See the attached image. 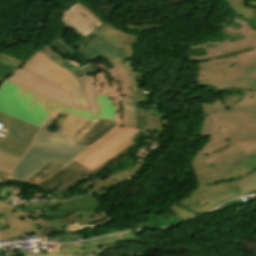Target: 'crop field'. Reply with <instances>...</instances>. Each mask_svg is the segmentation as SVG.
Returning a JSON list of instances; mask_svg holds the SVG:
<instances>
[{
  "label": "crop field",
  "instance_id": "8a807250",
  "mask_svg": "<svg viewBox=\"0 0 256 256\" xmlns=\"http://www.w3.org/2000/svg\"><path fill=\"white\" fill-rule=\"evenodd\" d=\"M198 107L205 115L198 135L210 136L191 161L198 189L170 207L188 220L256 191V119L249 122L231 114L221 101Z\"/></svg>",
  "mask_w": 256,
  "mask_h": 256
},
{
  "label": "crop field",
  "instance_id": "ac0d7876",
  "mask_svg": "<svg viewBox=\"0 0 256 256\" xmlns=\"http://www.w3.org/2000/svg\"><path fill=\"white\" fill-rule=\"evenodd\" d=\"M60 19L64 26L74 29L80 35L76 54H81L92 61L100 57L114 68L102 72L91 63L81 66L74 60H63V57L57 55L49 46L39 51L74 76L89 75L99 94L105 93L114 104L115 121L120 122L122 109L119 101L137 94L122 64L123 61L131 58L137 37L106 24L79 0L61 12Z\"/></svg>",
  "mask_w": 256,
  "mask_h": 256
},
{
  "label": "crop field",
  "instance_id": "34b2d1b8",
  "mask_svg": "<svg viewBox=\"0 0 256 256\" xmlns=\"http://www.w3.org/2000/svg\"><path fill=\"white\" fill-rule=\"evenodd\" d=\"M196 64L200 85L256 98V50Z\"/></svg>",
  "mask_w": 256,
  "mask_h": 256
},
{
  "label": "crop field",
  "instance_id": "412701ff",
  "mask_svg": "<svg viewBox=\"0 0 256 256\" xmlns=\"http://www.w3.org/2000/svg\"><path fill=\"white\" fill-rule=\"evenodd\" d=\"M56 109L93 121L100 116L52 102L7 80L0 89V112L39 128Z\"/></svg>",
  "mask_w": 256,
  "mask_h": 256
},
{
  "label": "crop field",
  "instance_id": "f4fd0767",
  "mask_svg": "<svg viewBox=\"0 0 256 256\" xmlns=\"http://www.w3.org/2000/svg\"><path fill=\"white\" fill-rule=\"evenodd\" d=\"M1 120L6 121L2 129L8 131L3 139L0 138V178L7 180L39 128L0 113Z\"/></svg>",
  "mask_w": 256,
  "mask_h": 256
},
{
  "label": "crop field",
  "instance_id": "dd49c442",
  "mask_svg": "<svg viewBox=\"0 0 256 256\" xmlns=\"http://www.w3.org/2000/svg\"><path fill=\"white\" fill-rule=\"evenodd\" d=\"M77 79L79 80L81 87L86 95L90 110L72 106L71 94L24 68H22L19 72L7 80L21 85L55 102L99 114V108L93 98V96L98 95V93L93 83L88 76H78Z\"/></svg>",
  "mask_w": 256,
  "mask_h": 256
},
{
  "label": "crop field",
  "instance_id": "e52e79f7",
  "mask_svg": "<svg viewBox=\"0 0 256 256\" xmlns=\"http://www.w3.org/2000/svg\"><path fill=\"white\" fill-rule=\"evenodd\" d=\"M138 131L139 129L136 128L117 126L91 147L84 150L74 160L92 171L131 144L133 141L130 139Z\"/></svg>",
  "mask_w": 256,
  "mask_h": 256
},
{
  "label": "crop field",
  "instance_id": "d8731c3e",
  "mask_svg": "<svg viewBox=\"0 0 256 256\" xmlns=\"http://www.w3.org/2000/svg\"><path fill=\"white\" fill-rule=\"evenodd\" d=\"M9 202H0V215L7 214L10 229L0 231V240L14 236H29L31 234L40 237H49L50 233L64 230H45L42 227H52V220L44 221V212L35 210L34 214L18 209Z\"/></svg>",
  "mask_w": 256,
  "mask_h": 256
},
{
  "label": "crop field",
  "instance_id": "5a996713",
  "mask_svg": "<svg viewBox=\"0 0 256 256\" xmlns=\"http://www.w3.org/2000/svg\"><path fill=\"white\" fill-rule=\"evenodd\" d=\"M25 68L70 92L73 105L89 109L77 79L44 54L35 52L27 61Z\"/></svg>",
  "mask_w": 256,
  "mask_h": 256
},
{
  "label": "crop field",
  "instance_id": "3316defc",
  "mask_svg": "<svg viewBox=\"0 0 256 256\" xmlns=\"http://www.w3.org/2000/svg\"><path fill=\"white\" fill-rule=\"evenodd\" d=\"M86 147L36 137L26 156L67 163Z\"/></svg>",
  "mask_w": 256,
  "mask_h": 256
},
{
  "label": "crop field",
  "instance_id": "28ad6ade",
  "mask_svg": "<svg viewBox=\"0 0 256 256\" xmlns=\"http://www.w3.org/2000/svg\"><path fill=\"white\" fill-rule=\"evenodd\" d=\"M243 27V26H242ZM240 32L244 33L245 35L239 37L235 42H224L218 45H215L206 52L209 54L203 56H189V59L198 62L201 60H207L217 57H223L251 49L256 48V29L244 26L239 30Z\"/></svg>",
  "mask_w": 256,
  "mask_h": 256
},
{
  "label": "crop field",
  "instance_id": "d1516ede",
  "mask_svg": "<svg viewBox=\"0 0 256 256\" xmlns=\"http://www.w3.org/2000/svg\"><path fill=\"white\" fill-rule=\"evenodd\" d=\"M60 112L56 111L49 118V120L40 129L37 136L49 138L58 141L73 143L78 138L83 136L87 131H89L96 122H91L85 129H83L75 138L72 136L79 131L88 121L73 117L68 115L65 121L58 127L55 133L45 131L52 121L58 116Z\"/></svg>",
  "mask_w": 256,
  "mask_h": 256
},
{
  "label": "crop field",
  "instance_id": "22f410ed",
  "mask_svg": "<svg viewBox=\"0 0 256 256\" xmlns=\"http://www.w3.org/2000/svg\"><path fill=\"white\" fill-rule=\"evenodd\" d=\"M130 98L137 112L136 127L141 128V130L131 140L136 141L146 128L162 133L163 118L161 114L155 108L142 111L138 104L140 102L148 101V98L145 96V94L142 92Z\"/></svg>",
  "mask_w": 256,
  "mask_h": 256
},
{
  "label": "crop field",
  "instance_id": "cbeb9de0",
  "mask_svg": "<svg viewBox=\"0 0 256 256\" xmlns=\"http://www.w3.org/2000/svg\"><path fill=\"white\" fill-rule=\"evenodd\" d=\"M85 168L80 166L79 164L71 161L67 166L53 174L52 176L48 177L44 182L40 184H33L29 182H25L22 180L17 179H9L10 181H17V182H24L28 184H33L39 187H42L44 189H48L49 191L59 188L62 185L68 183L70 180L78 177L82 173L86 172Z\"/></svg>",
  "mask_w": 256,
  "mask_h": 256
},
{
  "label": "crop field",
  "instance_id": "5142ce71",
  "mask_svg": "<svg viewBox=\"0 0 256 256\" xmlns=\"http://www.w3.org/2000/svg\"><path fill=\"white\" fill-rule=\"evenodd\" d=\"M46 160L25 157L19 162L10 177L27 180L35 171H37Z\"/></svg>",
  "mask_w": 256,
  "mask_h": 256
},
{
  "label": "crop field",
  "instance_id": "d9b57169",
  "mask_svg": "<svg viewBox=\"0 0 256 256\" xmlns=\"http://www.w3.org/2000/svg\"><path fill=\"white\" fill-rule=\"evenodd\" d=\"M116 122L99 120L95 126L75 143L91 145L94 141L109 132Z\"/></svg>",
  "mask_w": 256,
  "mask_h": 256
},
{
  "label": "crop field",
  "instance_id": "733c2abd",
  "mask_svg": "<svg viewBox=\"0 0 256 256\" xmlns=\"http://www.w3.org/2000/svg\"><path fill=\"white\" fill-rule=\"evenodd\" d=\"M44 256H101L100 250L84 251L82 243L59 245L57 253H44Z\"/></svg>",
  "mask_w": 256,
  "mask_h": 256
},
{
  "label": "crop field",
  "instance_id": "4a817a6b",
  "mask_svg": "<svg viewBox=\"0 0 256 256\" xmlns=\"http://www.w3.org/2000/svg\"><path fill=\"white\" fill-rule=\"evenodd\" d=\"M231 109L234 111V114L252 121L256 117V99L244 96L236 105H233Z\"/></svg>",
  "mask_w": 256,
  "mask_h": 256
},
{
  "label": "crop field",
  "instance_id": "bc2a9ffb",
  "mask_svg": "<svg viewBox=\"0 0 256 256\" xmlns=\"http://www.w3.org/2000/svg\"><path fill=\"white\" fill-rule=\"evenodd\" d=\"M136 239H138V237L135 234V232H130V233H126V234L110 236L107 238H101L98 240L87 241V242L83 243V247H84V250L99 249V245H105V244H110V243H119V242L136 240Z\"/></svg>",
  "mask_w": 256,
  "mask_h": 256
},
{
  "label": "crop field",
  "instance_id": "214f88e0",
  "mask_svg": "<svg viewBox=\"0 0 256 256\" xmlns=\"http://www.w3.org/2000/svg\"><path fill=\"white\" fill-rule=\"evenodd\" d=\"M65 166L64 163L48 161L37 172H35L28 180L31 182H41L48 175L56 171L57 169Z\"/></svg>",
  "mask_w": 256,
  "mask_h": 256
},
{
  "label": "crop field",
  "instance_id": "92a150f3",
  "mask_svg": "<svg viewBox=\"0 0 256 256\" xmlns=\"http://www.w3.org/2000/svg\"><path fill=\"white\" fill-rule=\"evenodd\" d=\"M231 9L240 16L250 20L255 14L256 9L245 6L246 0H227Z\"/></svg>",
  "mask_w": 256,
  "mask_h": 256
},
{
  "label": "crop field",
  "instance_id": "dafd665d",
  "mask_svg": "<svg viewBox=\"0 0 256 256\" xmlns=\"http://www.w3.org/2000/svg\"><path fill=\"white\" fill-rule=\"evenodd\" d=\"M95 99L100 108V118L114 120L115 110L113 104L109 101V99L104 94L95 97Z\"/></svg>",
  "mask_w": 256,
  "mask_h": 256
},
{
  "label": "crop field",
  "instance_id": "00972430",
  "mask_svg": "<svg viewBox=\"0 0 256 256\" xmlns=\"http://www.w3.org/2000/svg\"><path fill=\"white\" fill-rule=\"evenodd\" d=\"M124 115L120 124L129 125L135 127L136 123V112L132 105L130 98L122 100ZM119 125V124H118Z\"/></svg>",
  "mask_w": 256,
  "mask_h": 256
},
{
  "label": "crop field",
  "instance_id": "a9b5d70f",
  "mask_svg": "<svg viewBox=\"0 0 256 256\" xmlns=\"http://www.w3.org/2000/svg\"><path fill=\"white\" fill-rule=\"evenodd\" d=\"M118 181L115 179L114 176H110V177H107L106 179L104 180H97V179H94L92 180L91 182L87 183L86 185H84L82 187V189L88 187L89 185H91L92 183L95 185V187L91 190V191H88L87 193H90V192H94L96 190H99V189H102V188H105V187H108L110 185H113L115 183H117Z\"/></svg>",
  "mask_w": 256,
  "mask_h": 256
},
{
  "label": "crop field",
  "instance_id": "4177f3b9",
  "mask_svg": "<svg viewBox=\"0 0 256 256\" xmlns=\"http://www.w3.org/2000/svg\"><path fill=\"white\" fill-rule=\"evenodd\" d=\"M54 206H57V203L46 202V201H36V202H30L28 206L25 208V210L32 213L35 208L43 211H50L51 207H54Z\"/></svg>",
  "mask_w": 256,
  "mask_h": 256
},
{
  "label": "crop field",
  "instance_id": "730fd06b",
  "mask_svg": "<svg viewBox=\"0 0 256 256\" xmlns=\"http://www.w3.org/2000/svg\"><path fill=\"white\" fill-rule=\"evenodd\" d=\"M202 87L204 89H208L213 91L214 93H216L217 95H219L221 97V101L223 102V104L231 111V113L233 112L229 107L235 103H237L243 96V94H239V95H235V96H223L221 95L219 92H217V90L211 89V88H207L204 86H199Z\"/></svg>",
  "mask_w": 256,
  "mask_h": 256
},
{
  "label": "crop field",
  "instance_id": "eef30255",
  "mask_svg": "<svg viewBox=\"0 0 256 256\" xmlns=\"http://www.w3.org/2000/svg\"><path fill=\"white\" fill-rule=\"evenodd\" d=\"M137 144L133 143L131 145H129L128 147H126L125 149H123L122 151H120L117 155H115L113 158H111L109 161H107L106 163L102 164L101 166L97 167L95 170H93V172H98L102 169H104L107 165L119 160L120 158L124 157L125 155H127Z\"/></svg>",
  "mask_w": 256,
  "mask_h": 256
},
{
  "label": "crop field",
  "instance_id": "ae1a2a85",
  "mask_svg": "<svg viewBox=\"0 0 256 256\" xmlns=\"http://www.w3.org/2000/svg\"><path fill=\"white\" fill-rule=\"evenodd\" d=\"M92 174H93V173L90 172V171L86 172L85 174L81 175L80 177H78V178H76V179L70 181L67 185H65V186H63V187H61V188H59V189H57V190H54V191H53L54 193H53L52 195L62 193L63 191H65V190H67V189L73 187L74 185H76V184H78L79 182L83 181L84 179L88 178V177L91 176ZM49 196H50V195H48V197H49Z\"/></svg>",
  "mask_w": 256,
  "mask_h": 256
},
{
  "label": "crop field",
  "instance_id": "d3111659",
  "mask_svg": "<svg viewBox=\"0 0 256 256\" xmlns=\"http://www.w3.org/2000/svg\"><path fill=\"white\" fill-rule=\"evenodd\" d=\"M140 166H141V163H137L136 165H134L120 173L114 174V176L117 178V180L121 181L125 178L130 177L134 173H136L139 170Z\"/></svg>",
  "mask_w": 256,
  "mask_h": 256
},
{
  "label": "crop field",
  "instance_id": "750c4746",
  "mask_svg": "<svg viewBox=\"0 0 256 256\" xmlns=\"http://www.w3.org/2000/svg\"><path fill=\"white\" fill-rule=\"evenodd\" d=\"M131 62H132V58H131L130 60L124 62V65H125V67H126L128 73H129V76H130V78H131V81H132V83H133V85H134L136 91L139 93V92H141L142 90H141V88L139 87V85H138V83H137L136 74H135V72H134V70H133V68H132V66H131Z\"/></svg>",
  "mask_w": 256,
  "mask_h": 256
},
{
  "label": "crop field",
  "instance_id": "bd1437ed",
  "mask_svg": "<svg viewBox=\"0 0 256 256\" xmlns=\"http://www.w3.org/2000/svg\"><path fill=\"white\" fill-rule=\"evenodd\" d=\"M125 27L132 28L138 31L142 30H148V29H156V28H161L163 27L162 24H153V25H127V24H122Z\"/></svg>",
  "mask_w": 256,
  "mask_h": 256
},
{
  "label": "crop field",
  "instance_id": "1d83c4d3",
  "mask_svg": "<svg viewBox=\"0 0 256 256\" xmlns=\"http://www.w3.org/2000/svg\"><path fill=\"white\" fill-rule=\"evenodd\" d=\"M128 229H124L122 231H127ZM115 232H121L120 230H116V229H111V230H105V231H100V232H95V233H91V234H86L85 238H82L81 240L84 239H88L91 237H96V236H101V235H106V234H111V233H115ZM83 236V235H82Z\"/></svg>",
  "mask_w": 256,
  "mask_h": 256
},
{
  "label": "crop field",
  "instance_id": "120bbe31",
  "mask_svg": "<svg viewBox=\"0 0 256 256\" xmlns=\"http://www.w3.org/2000/svg\"><path fill=\"white\" fill-rule=\"evenodd\" d=\"M16 71H17V69H14V68H11V67H8V66L0 65V78L4 79V78L13 74Z\"/></svg>",
  "mask_w": 256,
  "mask_h": 256
},
{
  "label": "crop field",
  "instance_id": "d32e631a",
  "mask_svg": "<svg viewBox=\"0 0 256 256\" xmlns=\"http://www.w3.org/2000/svg\"><path fill=\"white\" fill-rule=\"evenodd\" d=\"M73 241H79V235H64V231H62L61 234V242H73Z\"/></svg>",
  "mask_w": 256,
  "mask_h": 256
},
{
  "label": "crop field",
  "instance_id": "5866460e",
  "mask_svg": "<svg viewBox=\"0 0 256 256\" xmlns=\"http://www.w3.org/2000/svg\"><path fill=\"white\" fill-rule=\"evenodd\" d=\"M143 135H147V136L153 138L155 141L160 142L162 134L146 129L145 132L143 133Z\"/></svg>",
  "mask_w": 256,
  "mask_h": 256
},
{
  "label": "crop field",
  "instance_id": "028f5c9d",
  "mask_svg": "<svg viewBox=\"0 0 256 256\" xmlns=\"http://www.w3.org/2000/svg\"><path fill=\"white\" fill-rule=\"evenodd\" d=\"M239 204H242V201H241L240 199H238V200H236V201H232V202L227 203V204H224L223 206L219 207L217 210H218V211H222V210H224V209H227V208H230V207L239 205Z\"/></svg>",
  "mask_w": 256,
  "mask_h": 256
},
{
  "label": "crop field",
  "instance_id": "e1f06a70",
  "mask_svg": "<svg viewBox=\"0 0 256 256\" xmlns=\"http://www.w3.org/2000/svg\"><path fill=\"white\" fill-rule=\"evenodd\" d=\"M96 221L97 220H101V219H104V218H108L107 214L105 212L103 213H100V214H97V215H94L92 216ZM97 217H99V219H97Z\"/></svg>",
  "mask_w": 256,
  "mask_h": 256
},
{
  "label": "crop field",
  "instance_id": "0bd39190",
  "mask_svg": "<svg viewBox=\"0 0 256 256\" xmlns=\"http://www.w3.org/2000/svg\"><path fill=\"white\" fill-rule=\"evenodd\" d=\"M120 246H121L120 244H111V245H106V246H100V250L102 251L104 249L116 248V247H120Z\"/></svg>",
  "mask_w": 256,
  "mask_h": 256
},
{
  "label": "crop field",
  "instance_id": "b80d0937",
  "mask_svg": "<svg viewBox=\"0 0 256 256\" xmlns=\"http://www.w3.org/2000/svg\"><path fill=\"white\" fill-rule=\"evenodd\" d=\"M245 5L252 6L256 8V0H248Z\"/></svg>",
  "mask_w": 256,
  "mask_h": 256
},
{
  "label": "crop field",
  "instance_id": "c035e120",
  "mask_svg": "<svg viewBox=\"0 0 256 256\" xmlns=\"http://www.w3.org/2000/svg\"><path fill=\"white\" fill-rule=\"evenodd\" d=\"M20 191H21V188H19V187H15L14 190H13V192L16 193L15 195H19ZM13 192H12V194H13Z\"/></svg>",
  "mask_w": 256,
  "mask_h": 256
},
{
  "label": "crop field",
  "instance_id": "c21b1889",
  "mask_svg": "<svg viewBox=\"0 0 256 256\" xmlns=\"http://www.w3.org/2000/svg\"><path fill=\"white\" fill-rule=\"evenodd\" d=\"M249 22H251L254 26H256V15Z\"/></svg>",
  "mask_w": 256,
  "mask_h": 256
},
{
  "label": "crop field",
  "instance_id": "03da06ac",
  "mask_svg": "<svg viewBox=\"0 0 256 256\" xmlns=\"http://www.w3.org/2000/svg\"><path fill=\"white\" fill-rule=\"evenodd\" d=\"M43 254L27 253V256H42Z\"/></svg>",
  "mask_w": 256,
  "mask_h": 256
},
{
  "label": "crop field",
  "instance_id": "b54c1fbb",
  "mask_svg": "<svg viewBox=\"0 0 256 256\" xmlns=\"http://www.w3.org/2000/svg\"><path fill=\"white\" fill-rule=\"evenodd\" d=\"M20 197L14 196L13 200H19Z\"/></svg>",
  "mask_w": 256,
  "mask_h": 256
},
{
  "label": "crop field",
  "instance_id": "5d738f31",
  "mask_svg": "<svg viewBox=\"0 0 256 256\" xmlns=\"http://www.w3.org/2000/svg\"><path fill=\"white\" fill-rule=\"evenodd\" d=\"M2 187L0 186V189H1Z\"/></svg>",
  "mask_w": 256,
  "mask_h": 256
}]
</instances>
